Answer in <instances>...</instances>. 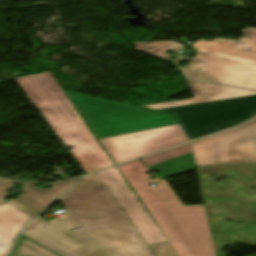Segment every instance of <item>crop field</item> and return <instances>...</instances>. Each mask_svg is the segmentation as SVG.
Returning <instances> with one entry per match:
<instances>
[{"label":"crop field","instance_id":"obj_17","mask_svg":"<svg viewBox=\"0 0 256 256\" xmlns=\"http://www.w3.org/2000/svg\"><path fill=\"white\" fill-rule=\"evenodd\" d=\"M150 247L154 250L157 256H178L169 242L151 245Z\"/></svg>","mask_w":256,"mask_h":256},{"label":"crop field","instance_id":"obj_16","mask_svg":"<svg viewBox=\"0 0 256 256\" xmlns=\"http://www.w3.org/2000/svg\"><path fill=\"white\" fill-rule=\"evenodd\" d=\"M10 256H57L43 247L29 241L25 237L18 241Z\"/></svg>","mask_w":256,"mask_h":256},{"label":"crop field","instance_id":"obj_8","mask_svg":"<svg viewBox=\"0 0 256 256\" xmlns=\"http://www.w3.org/2000/svg\"><path fill=\"white\" fill-rule=\"evenodd\" d=\"M117 164L139 158L185 142L188 139L180 124L154 130L102 139Z\"/></svg>","mask_w":256,"mask_h":256},{"label":"crop field","instance_id":"obj_3","mask_svg":"<svg viewBox=\"0 0 256 256\" xmlns=\"http://www.w3.org/2000/svg\"><path fill=\"white\" fill-rule=\"evenodd\" d=\"M70 150L86 174L112 166L104 150L49 74L14 79Z\"/></svg>","mask_w":256,"mask_h":256},{"label":"crop field","instance_id":"obj_7","mask_svg":"<svg viewBox=\"0 0 256 256\" xmlns=\"http://www.w3.org/2000/svg\"><path fill=\"white\" fill-rule=\"evenodd\" d=\"M191 144L197 165L256 162V119Z\"/></svg>","mask_w":256,"mask_h":256},{"label":"crop field","instance_id":"obj_4","mask_svg":"<svg viewBox=\"0 0 256 256\" xmlns=\"http://www.w3.org/2000/svg\"><path fill=\"white\" fill-rule=\"evenodd\" d=\"M237 41L200 40L192 45L198 53L183 68L187 77L256 89V28L242 30Z\"/></svg>","mask_w":256,"mask_h":256},{"label":"crop field","instance_id":"obj_10","mask_svg":"<svg viewBox=\"0 0 256 256\" xmlns=\"http://www.w3.org/2000/svg\"><path fill=\"white\" fill-rule=\"evenodd\" d=\"M106 185L125 210L147 244L165 241V237L136 198L116 168L99 172Z\"/></svg>","mask_w":256,"mask_h":256},{"label":"crop field","instance_id":"obj_12","mask_svg":"<svg viewBox=\"0 0 256 256\" xmlns=\"http://www.w3.org/2000/svg\"><path fill=\"white\" fill-rule=\"evenodd\" d=\"M143 160L163 179L196 168L190 143L143 158Z\"/></svg>","mask_w":256,"mask_h":256},{"label":"crop field","instance_id":"obj_5","mask_svg":"<svg viewBox=\"0 0 256 256\" xmlns=\"http://www.w3.org/2000/svg\"><path fill=\"white\" fill-rule=\"evenodd\" d=\"M97 139L177 124L174 114L66 92Z\"/></svg>","mask_w":256,"mask_h":256},{"label":"crop field","instance_id":"obj_6","mask_svg":"<svg viewBox=\"0 0 256 256\" xmlns=\"http://www.w3.org/2000/svg\"><path fill=\"white\" fill-rule=\"evenodd\" d=\"M158 110L174 113L191 141L254 117L256 96Z\"/></svg>","mask_w":256,"mask_h":256},{"label":"crop field","instance_id":"obj_11","mask_svg":"<svg viewBox=\"0 0 256 256\" xmlns=\"http://www.w3.org/2000/svg\"><path fill=\"white\" fill-rule=\"evenodd\" d=\"M195 98L145 105L143 107L158 109L207 101H215L243 96L256 95L255 90L221 86L191 79H186Z\"/></svg>","mask_w":256,"mask_h":256},{"label":"crop field","instance_id":"obj_14","mask_svg":"<svg viewBox=\"0 0 256 256\" xmlns=\"http://www.w3.org/2000/svg\"><path fill=\"white\" fill-rule=\"evenodd\" d=\"M80 178L82 177L57 183L52 185L51 189H37L29 183H24L21 196L18 199L41 212Z\"/></svg>","mask_w":256,"mask_h":256},{"label":"crop field","instance_id":"obj_1","mask_svg":"<svg viewBox=\"0 0 256 256\" xmlns=\"http://www.w3.org/2000/svg\"><path fill=\"white\" fill-rule=\"evenodd\" d=\"M66 217L55 221L73 229L113 256H154L98 173L59 199Z\"/></svg>","mask_w":256,"mask_h":256},{"label":"crop field","instance_id":"obj_15","mask_svg":"<svg viewBox=\"0 0 256 256\" xmlns=\"http://www.w3.org/2000/svg\"><path fill=\"white\" fill-rule=\"evenodd\" d=\"M183 46L184 45L177 44L172 41L155 42V43H151V44L136 43V50L167 61L168 56L163 55V54L168 49L178 51Z\"/></svg>","mask_w":256,"mask_h":256},{"label":"crop field","instance_id":"obj_13","mask_svg":"<svg viewBox=\"0 0 256 256\" xmlns=\"http://www.w3.org/2000/svg\"><path fill=\"white\" fill-rule=\"evenodd\" d=\"M32 218L6 202L0 204V256L6 255L17 233Z\"/></svg>","mask_w":256,"mask_h":256},{"label":"crop field","instance_id":"obj_2","mask_svg":"<svg viewBox=\"0 0 256 256\" xmlns=\"http://www.w3.org/2000/svg\"><path fill=\"white\" fill-rule=\"evenodd\" d=\"M118 168L179 256H216L204 206H183L163 179L152 188L139 160Z\"/></svg>","mask_w":256,"mask_h":256},{"label":"crop field","instance_id":"obj_18","mask_svg":"<svg viewBox=\"0 0 256 256\" xmlns=\"http://www.w3.org/2000/svg\"><path fill=\"white\" fill-rule=\"evenodd\" d=\"M14 183H21L13 180L0 179V203L6 201L8 191L13 186Z\"/></svg>","mask_w":256,"mask_h":256},{"label":"crop field","instance_id":"obj_9","mask_svg":"<svg viewBox=\"0 0 256 256\" xmlns=\"http://www.w3.org/2000/svg\"><path fill=\"white\" fill-rule=\"evenodd\" d=\"M22 234L61 256H111L58 223L40 217Z\"/></svg>","mask_w":256,"mask_h":256},{"label":"crop field","instance_id":"obj_19","mask_svg":"<svg viewBox=\"0 0 256 256\" xmlns=\"http://www.w3.org/2000/svg\"><path fill=\"white\" fill-rule=\"evenodd\" d=\"M8 203H10L11 205L17 207L18 209L26 212L27 214L31 215V216H36L38 213V211L34 210L33 208L29 207L28 205L18 201L17 199H12L10 201H8Z\"/></svg>","mask_w":256,"mask_h":256}]
</instances>
